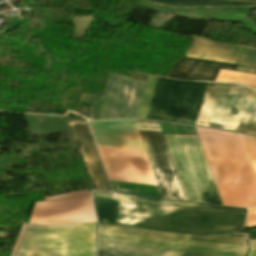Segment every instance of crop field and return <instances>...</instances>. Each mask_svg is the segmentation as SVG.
<instances>
[{"label": "crop field", "mask_w": 256, "mask_h": 256, "mask_svg": "<svg viewBox=\"0 0 256 256\" xmlns=\"http://www.w3.org/2000/svg\"><path fill=\"white\" fill-rule=\"evenodd\" d=\"M256 184V138L237 134Z\"/></svg>", "instance_id": "crop-field-16"}, {"label": "crop field", "mask_w": 256, "mask_h": 256, "mask_svg": "<svg viewBox=\"0 0 256 256\" xmlns=\"http://www.w3.org/2000/svg\"><path fill=\"white\" fill-rule=\"evenodd\" d=\"M255 92L238 84L208 83L196 125L244 133ZM245 133L256 136V96Z\"/></svg>", "instance_id": "crop-field-4"}, {"label": "crop field", "mask_w": 256, "mask_h": 256, "mask_svg": "<svg viewBox=\"0 0 256 256\" xmlns=\"http://www.w3.org/2000/svg\"><path fill=\"white\" fill-rule=\"evenodd\" d=\"M235 64L253 67L238 66L237 70L256 74V51L240 48Z\"/></svg>", "instance_id": "crop-field-17"}, {"label": "crop field", "mask_w": 256, "mask_h": 256, "mask_svg": "<svg viewBox=\"0 0 256 256\" xmlns=\"http://www.w3.org/2000/svg\"><path fill=\"white\" fill-rule=\"evenodd\" d=\"M239 47L215 44L203 38L193 36V46L186 57L211 60L223 63H235Z\"/></svg>", "instance_id": "crop-field-13"}, {"label": "crop field", "mask_w": 256, "mask_h": 256, "mask_svg": "<svg viewBox=\"0 0 256 256\" xmlns=\"http://www.w3.org/2000/svg\"><path fill=\"white\" fill-rule=\"evenodd\" d=\"M97 144L144 150L134 121H88Z\"/></svg>", "instance_id": "crop-field-11"}, {"label": "crop field", "mask_w": 256, "mask_h": 256, "mask_svg": "<svg viewBox=\"0 0 256 256\" xmlns=\"http://www.w3.org/2000/svg\"><path fill=\"white\" fill-rule=\"evenodd\" d=\"M99 222L169 232L210 234L244 226L246 215L93 197Z\"/></svg>", "instance_id": "crop-field-1"}, {"label": "crop field", "mask_w": 256, "mask_h": 256, "mask_svg": "<svg viewBox=\"0 0 256 256\" xmlns=\"http://www.w3.org/2000/svg\"><path fill=\"white\" fill-rule=\"evenodd\" d=\"M250 256H256V250H252Z\"/></svg>", "instance_id": "crop-field-21"}, {"label": "crop field", "mask_w": 256, "mask_h": 256, "mask_svg": "<svg viewBox=\"0 0 256 256\" xmlns=\"http://www.w3.org/2000/svg\"><path fill=\"white\" fill-rule=\"evenodd\" d=\"M252 248H256V241H251Z\"/></svg>", "instance_id": "crop-field-20"}, {"label": "crop field", "mask_w": 256, "mask_h": 256, "mask_svg": "<svg viewBox=\"0 0 256 256\" xmlns=\"http://www.w3.org/2000/svg\"><path fill=\"white\" fill-rule=\"evenodd\" d=\"M157 77L149 76L137 118H145Z\"/></svg>", "instance_id": "crop-field-18"}, {"label": "crop field", "mask_w": 256, "mask_h": 256, "mask_svg": "<svg viewBox=\"0 0 256 256\" xmlns=\"http://www.w3.org/2000/svg\"><path fill=\"white\" fill-rule=\"evenodd\" d=\"M98 256H144V255H136V254H127V253H119V252H110V251L98 250Z\"/></svg>", "instance_id": "crop-field-19"}, {"label": "crop field", "mask_w": 256, "mask_h": 256, "mask_svg": "<svg viewBox=\"0 0 256 256\" xmlns=\"http://www.w3.org/2000/svg\"><path fill=\"white\" fill-rule=\"evenodd\" d=\"M247 235L169 234L99 224L98 249L153 256H245Z\"/></svg>", "instance_id": "crop-field-2"}, {"label": "crop field", "mask_w": 256, "mask_h": 256, "mask_svg": "<svg viewBox=\"0 0 256 256\" xmlns=\"http://www.w3.org/2000/svg\"><path fill=\"white\" fill-rule=\"evenodd\" d=\"M195 128L217 187L255 186L236 134ZM243 189L249 205H255L256 188ZM243 189L219 190L225 204L248 207Z\"/></svg>", "instance_id": "crop-field-3"}, {"label": "crop field", "mask_w": 256, "mask_h": 256, "mask_svg": "<svg viewBox=\"0 0 256 256\" xmlns=\"http://www.w3.org/2000/svg\"><path fill=\"white\" fill-rule=\"evenodd\" d=\"M68 130L84 157L92 189L111 191L86 121H69Z\"/></svg>", "instance_id": "crop-field-10"}, {"label": "crop field", "mask_w": 256, "mask_h": 256, "mask_svg": "<svg viewBox=\"0 0 256 256\" xmlns=\"http://www.w3.org/2000/svg\"><path fill=\"white\" fill-rule=\"evenodd\" d=\"M206 84L158 77L146 119L195 125Z\"/></svg>", "instance_id": "crop-field-7"}, {"label": "crop field", "mask_w": 256, "mask_h": 256, "mask_svg": "<svg viewBox=\"0 0 256 256\" xmlns=\"http://www.w3.org/2000/svg\"><path fill=\"white\" fill-rule=\"evenodd\" d=\"M17 256H95V224H29Z\"/></svg>", "instance_id": "crop-field-6"}, {"label": "crop field", "mask_w": 256, "mask_h": 256, "mask_svg": "<svg viewBox=\"0 0 256 256\" xmlns=\"http://www.w3.org/2000/svg\"><path fill=\"white\" fill-rule=\"evenodd\" d=\"M163 136L186 199L222 205L198 137Z\"/></svg>", "instance_id": "crop-field-5"}, {"label": "crop field", "mask_w": 256, "mask_h": 256, "mask_svg": "<svg viewBox=\"0 0 256 256\" xmlns=\"http://www.w3.org/2000/svg\"><path fill=\"white\" fill-rule=\"evenodd\" d=\"M145 83L111 74L98 120L135 119Z\"/></svg>", "instance_id": "crop-field-9"}, {"label": "crop field", "mask_w": 256, "mask_h": 256, "mask_svg": "<svg viewBox=\"0 0 256 256\" xmlns=\"http://www.w3.org/2000/svg\"><path fill=\"white\" fill-rule=\"evenodd\" d=\"M92 195L97 196V197L140 201V202L157 203V204L174 205V206L191 207V208L208 209V210H217V211L234 212V213H242V214H246V212H247L246 209H241V208H232V207L197 204V203L162 200V199H153V198L118 195V194L101 193V192H93Z\"/></svg>", "instance_id": "crop-field-14"}, {"label": "crop field", "mask_w": 256, "mask_h": 256, "mask_svg": "<svg viewBox=\"0 0 256 256\" xmlns=\"http://www.w3.org/2000/svg\"><path fill=\"white\" fill-rule=\"evenodd\" d=\"M220 68L236 70L237 66L182 58L169 77L187 80L214 81Z\"/></svg>", "instance_id": "crop-field-12"}, {"label": "crop field", "mask_w": 256, "mask_h": 256, "mask_svg": "<svg viewBox=\"0 0 256 256\" xmlns=\"http://www.w3.org/2000/svg\"><path fill=\"white\" fill-rule=\"evenodd\" d=\"M170 6H256V0H147Z\"/></svg>", "instance_id": "crop-field-15"}, {"label": "crop field", "mask_w": 256, "mask_h": 256, "mask_svg": "<svg viewBox=\"0 0 256 256\" xmlns=\"http://www.w3.org/2000/svg\"><path fill=\"white\" fill-rule=\"evenodd\" d=\"M136 123L158 124L152 121ZM163 198L186 200L160 130L138 129Z\"/></svg>", "instance_id": "crop-field-8"}]
</instances>
